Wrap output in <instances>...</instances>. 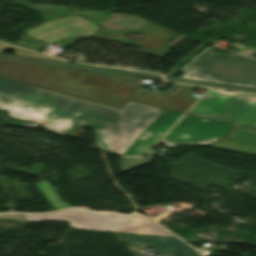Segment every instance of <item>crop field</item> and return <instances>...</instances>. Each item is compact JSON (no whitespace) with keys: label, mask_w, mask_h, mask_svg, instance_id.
<instances>
[{"label":"crop field","mask_w":256,"mask_h":256,"mask_svg":"<svg viewBox=\"0 0 256 256\" xmlns=\"http://www.w3.org/2000/svg\"><path fill=\"white\" fill-rule=\"evenodd\" d=\"M0 109L65 135L75 125L95 130L96 144L120 155V110L0 79Z\"/></svg>","instance_id":"obj_1"},{"label":"crop field","mask_w":256,"mask_h":256,"mask_svg":"<svg viewBox=\"0 0 256 256\" xmlns=\"http://www.w3.org/2000/svg\"><path fill=\"white\" fill-rule=\"evenodd\" d=\"M0 77L120 108L142 79L0 58Z\"/></svg>","instance_id":"obj_2"},{"label":"crop field","mask_w":256,"mask_h":256,"mask_svg":"<svg viewBox=\"0 0 256 256\" xmlns=\"http://www.w3.org/2000/svg\"><path fill=\"white\" fill-rule=\"evenodd\" d=\"M182 78L256 88V58L244 52L223 54L206 50L185 69Z\"/></svg>","instance_id":"obj_3"},{"label":"crop field","mask_w":256,"mask_h":256,"mask_svg":"<svg viewBox=\"0 0 256 256\" xmlns=\"http://www.w3.org/2000/svg\"><path fill=\"white\" fill-rule=\"evenodd\" d=\"M27 222L67 220L69 227L120 232L171 236L147 219L117 212H94L88 209L61 211L47 215H23Z\"/></svg>","instance_id":"obj_4"},{"label":"crop field","mask_w":256,"mask_h":256,"mask_svg":"<svg viewBox=\"0 0 256 256\" xmlns=\"http://www.w3.org/2000/svg\"><path fill=\"white\" fill-rule=\"evenodd\" d=\"M188 113L256 128V95L211 89Z\"/></svg>","instance_id":"obj_5"},{"label":"crop field","mask_w":256,"mask_h":256,"mask_svg":"<svg viewBox=\"0 0 256 256\" xmlns=\"http://www.w3.org/2000/svg\"><path fill=\"white\" fill-rule=\"evenodd\" d=\"M237 126L185 115L162 140L172 145H206L227 137Z\"/></svg>","instance_id":"obj_6"},{"label":"crop field","mask_w":256,"mask_h":256,"mask_svg":"<svg viewBox=\"0 0 256 256\" xmlns=\"http://www.w3.org/2000/svg\"><path fill=\"white\" fill-rule=\"evenodd\" d=\"M99 27L88 20L65 16L27 30L28 36L45 43H54L74 35L92 36Z\"/></svg>","instance_id":"obj_7"},{"label":"crop field","mask_w":256,"mask_h":256,"mask_svg":"<svg viewBox=\"0 0 256 256\" xmlns=\"http://www.w3.org/2000/svg\"><path fill=\"white\" fill-rule=\"evenodd\" d=\"M158 110L129 102L121 110V147L128 148L160 114Z\"/></svg>","instance_id":"obj_8"},{"label":"crop field","mask_w":256,"mask_h":256,"mask_svg":"<svg viewBox=\"0 0 256 256\" xmlns=\"http://www.w3.org/2000/svg\"><path fill=\"white\" fill-rule=\"evenodd\" d=\"M193 88L174 84L166 93L140 89L132 100L185 112L197 100L188 96Z\"/></svg>","instance_id":"obj_9"},{"label":"crop field","mask_w":256,"mask_h":256,"mask_svg":"<svg viewBox=\"0 0 256 256\" xmlns=\"http://www.w3.org/2000/svg\"><path fill=\"white\" fill-rule=\"evenodd\" d=\"M181 116L165 110L122 155L139 156L148 152Z\"/></svg>","instance_id":"obj_10"},{"label":"crop field","mask_w":256,"mask_h":256,"mask_svg":"<svg viewBox=\"0 0 256 256\" xmlns=\"http://www.w3.org/2000/svg\"><path fill=\"white\" fill-rule=\"evenodd\" d=\"M122 236L136 243L134 246L139 249L150 247L163 256H174L176 254L182 256H200L192 248L176 238L137 234H124Z\"/></svg>","instance_id":"obj_11"},{"label":"crop field","mask_w":256,"mask_h":256,"mask_svg":"<svg viewBox=\"0 0 256 256\" xmlns=\"http://www.w3.org/2000/svg\"><path fill=\"white\" fill-rule=\"evenodd\" d=\"M207 146L256 155V130L239 127L227 138Z\"/></svg>","instance_id":"obj_12"},{"label":"crop field","mask_w":256,"mask_h":256,"mask_svg":"<svg viewBox=\"0 0 256 256\" xmlns=\"http://www.w3.org/2000/svg\"><path fill=\"white\" fill-rule=\"evenodd\" d=\"M151 162V159L140 157V158H121L120 157V173L126 170L145 165Z\"/></svg>","instance_id":"obj_13"},{"label":"crop field","mask_w":256,"mask_h":256,"mask_svg":"<svg viewBox=\"0 0 256 256\" xmlns=\"http://www.w3.org/2000/svg\"><path fill=\"white\" fill-rule=\"evenodd\" d=\"M0 219H10V220L26 222L22 214H3V215H0Z\"/></svg>","instance_id":"obj_14"},{"label":"crop field","mask_w":256,"mask_h":256,"mask_svg":"<svg viewBox=\"0 0 256 256\" xmlns=\"http://www.w3.org/2000/svg\"><path fill=\"white\" fill-rule=\"evenodd\" d=\"M236 45L239 47V44H236ZM240 46H241L240 48H242V49H244V50L249 49L250 51L256 52V48L249 47V46H245V45H240Z\"/></svg>","instance_id":"obj_15"},{"label":"crop field","mask_w":256,"mask_h":256,"mask_svg":"<svg viewBox=\"0 0 256 256\" xmlns=\"http://www.w3.org/2000/svg\"><path fill=\"white\" fill-rule=\"evenodd\" d=\"M126 149H124V148H121V154L125 151Z\"/></svg>","instance_id":"obj_16"}]
</instances>
